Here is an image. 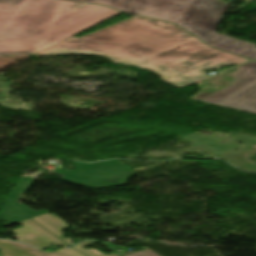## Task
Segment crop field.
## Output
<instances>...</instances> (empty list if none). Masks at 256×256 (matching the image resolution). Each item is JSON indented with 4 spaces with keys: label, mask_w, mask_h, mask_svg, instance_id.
Masks as SVG:
<instances>
[{
    "label": "crop field",
    "mask_w": 256,
    "mask_h": 256,
    "mask_svg": "<svg viewBox=\"0 0 256 256\" xmlns=\"http://www.w3.org/2000/svg\"><path fill=\"white\" fill-rule=\"evenodd\" d=\"M50 49L88 51L115 57L187 82L207 77L203 73L207 69L251 61L209 48L172 23L140 17H132L79 39L70 38Z\"/></svg>",
    "instance_id": "8a807250"
},
{
    "label": "crop field",
    "mask_w": 256,
    "mask_h": 256,
    "mask_svg": "<svg viewBox=\"0 0 256 256\" xmlns=\"http://www.w3.org/2000/svg\"><path fill=\"white\" fill-rule=\"evenodd\" d=\"M119 13L61 0H0V56L33 55Z\"/></svg>",
    "instance_id": "ac0d7876"
},
{
    "label": "crop field",
    "mask_w": 256,
    "mask_h": 256,
    "mask_svg": "<svg viewBox=\"0 0 256 256\" xmlns=\"http://www.w3.org/2000/svg\"><path fill=\"white\" fill-rule=\"evenodd\" d=\"M121 12L174 22L206 44L256 59V45L214 33L227 5L219 0H86Z\"/></svg>",
    "instance_id": "34b2d1b8"
},
{
    "label": "crop field",
    "mask_w": 256,
    "mask_h": 256,
    "mask_svg": "<svg viewBox=\"0 0 256 256\" xmlns=\"http://www.w3.org/2000/svg\"><path fill=\"white\" fill-rule=\"evenodd\" d=\"M254 79H256V75L243 65L232 74H220L206 79L220 88L203 90L191 99L217 105L250 84Z\"/></svg>",
    "instance_id": "412701ff"
},
{
    "label": "crop field",
    "mask_w": 256,
    "mask_h": 256,
    "mask_svg": "<svg viewBox=\"0 0 256 256\" xmlns=\"http://www.w3.org/2000/svg\"><path fill=\"white\" fill-rule=\"evenodd\" d=\"M182 139L190 141L193 145L207 148L213 155L223 156L236 150H243L256 145V137L230 134L227 138L219 136H201L197 133L191 134ZM230 139V141H227ZM239 141L243 146L235 143Z\"/></svg>",
    "instance_id": "f4fd0767"
},
{
    "label": "crop field",
    "mask_w": 256,
    "mask_h": 256,
    "mask_svg": "<svg viewBox=\"0 0 256 256\" xmlns=\"http://www.w3.org/2000/svg\"><path fill=\"white\" fill-rule=\"evenodd\" d=\"M19 224L23 228L12 230V232L16 234L13 238L20 242L36 248H46L50 244L68 247L30 219L19 222Z\"/></svg>",
    "instance_id": "dd49c442"
},
{
    "label": "crop field",
    "mask_w": 256,
    "mask_h": 256,
    "mask_svg": "<svg viewBox=\"0 0 256 256\" xmlns=\"http://www.w3.org/2000/svg\"><path fill=\"white\" fill-rule=\"evenodd\" d=\"M256 74V61L245 64ZM252 83V82H251ZM219 106L256 113V80L219 104Z\"/></svg>",
    "instance_id": "e52e79f7"
},
{
    "label": "crop field",
    "mask_w": 256,
    "mask_h": 256,
    "mask_svg": "<svg viewBox=\"0 0 256 256\" xmlns=\"http://www.w3.org/2000/svg\"><path fill=\"white\" fill-rule=\"evenodd\" d=\"M1 254L4 256H84L76 250L60 249L54 252H41L17 242L0 240Z\"/></svg>",
    "instance_id": "d8731c3e"
},
{
    "label": "crop field",
    "mask_w": 256,
    "mask_h": 256,
    "mask_svg": "<svg viewBox=\"0 0 256 256\" xmlns=\"http://www.w3.org/2000/svg\"><path fill=\"white\" fill-rule=\"evenodd\" d=\"M32 219L58 238H60L62 235L60 230L68 227L65 224L64 220H62L54 215H51L49 213L32 218ZM60 239H62V238H60ZM62 240L70 246L73 245V243L71 242L72 240L69 238L62 239Z\"/></svg>",
    "instance_id": "5a996713"
},
{
    "label": "crop field",
    "mask_w": 256,
    "mask_h": 256,
    "mask_svg": "<svg viewBox=\"0 0 256 256\" xmlns=\"http://www.w3.org/2000/svg\"><path fill=\"white\" fill-rule=\"evenodd\" d=\"M65 53H82V54H94V53H88V52H77V51H66V50H50V49H45L35 55H56V54H65ZM94 55H98V54H94ZM99 56H102V55H99ZM106 57V56H105ZM110 58V57H108ZM112 59L113 61L115 62H119V63H125V64H133V65H136L138 67H141V68H145V69H149V70H153V71H156L154 69H151V68H148V67H145V66H142V65H138V64H135V63H131V62H127V61H123V60H119V59H115V58H110ZM158 72L159 74H161L164 78V80L166 81H169V82H172L178 86H183L185 84H187V82H184V81H181L175 77H172L170 75H167V74H164L162 72H159V71H156ZM188 85V84H187Z\"/></svg>",
    "instance_id": "3316defc"
},
{
    "label": "crop field",
    "mask_w": 256,
    "mask_h": 256,
    "mask_svg": "<svg viewBox=\"0 0 256 256\" xmlns=\"http://www.w3.org/2000/svg\"><path fill=\"white\" fill-rule=\"evenodd\" d=\"M248 153L244 151L235 152L233 154L221 157L224 161L236 166L237 168L244 171L256 172V164H253L246 160Z\"/></svg>",
    "instance_id": "28ad6ade"
},
{
    "label": "crop field",
    "mask_w": 256,
    "mask_h": 256,
    "mask_svg": "<svg viewBox=\"0 0 256 256\" xmlns=\"http://www.w3.org/2000/svg\"><path fill=\"white\" fill-rule=\"evenodd\" d=\"M92 242H95V241H85V242H83V243H81V244H79V245H77L73 248L77 249L78 251H80L81 253H83L86 256H106L105 254H103V253H101V252H99L95 249L85 250V249L81 248V246L92 243ZM107 256H117V255H115L113 253V254L107 255Z\"/></svg>",
    "instance_id": "d1516ede"
},
{
    "label": "crop field",
    "mask_w": 256,
    "mask_h": 256,
    "mask_svg": "<svg viewBox=\"0 0 256 256\" xmlns=\"http://www.w3.org/2000/svg\"><path fill=\"white\" fill-rule=\"evenodd\" d=\"M128 256H159V255L154 253L153 251L147 249V250H144V251H141V252H138V253H135V254H131V255H128Z\"/></svg>",
    "instance_id": "22f410ed"
},
{
    "label": "crop field",
    "mask_w": 256,
    "mask_h": 256,
    "mask_svg": "<svg viewBox=\"0 0 256 256\" xmlns=\"http://www.w3.org/2000/svg\"><path fill=\"white\" fill-rule=\"evenodd\" d=\"M245 151H247V152L256 151V146H255V147H252V148H249V149H246Z\"/></svg>",
    "instance_id": "cbeb9de0"
},
{
    "label": "crop field",
    "mask_w": 256,
    "mask_h": 256,
    "mask_svg": "<svg viewBox=\"0 0 256 256\" xmlns=\"http://www.w3.org/2000/svg\"><path fill=\"white\" fill-rule=\"evenodd\" d=\"M75 1H81V2H85V0H75Z\"/></svg>",
    "instance_id": "5142ce71"
}]
</instances>
